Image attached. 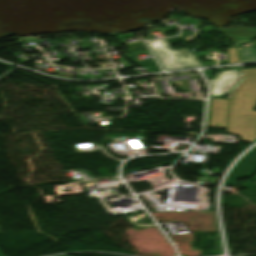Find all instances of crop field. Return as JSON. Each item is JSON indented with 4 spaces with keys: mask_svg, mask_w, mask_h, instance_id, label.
Returning <instances> with one entry per match:
<instances>
[{
    "mask_svg": "<svg viewBox=\"0 0 256 256\" xmlns=\"http://www.w3.org/2000/svg\"><path fill=\"white\" fill-rule=\"evenodd\" d=\"M227 131L243 141L256 140V68L243 69V77L231 95Z\"/></svg>",
    "mask_w": 256,
    "mask_h": 256,
    "instance_id": "8a807250",
    "label": "crop field"
},
{
    "mask_svg": "<svg viewBox=\"0 0 256 256\" xmlns=\"http://www.w3.org/2000/svg\"><path fill=\"white\" fill-rule=\"evenodd\" d=\"M158 61L165 70L202 66L190 48L171 50L166 40L148 42Z\"/></svg>",
    "mask_w": 256,
    "mask_h": 256,
    "instance_id": "ac0d7876",
    "label": "crop field"
},
{
    "mask_svg": "<svg viewBox=\"0 0 256 256\" xmlns=\"http://www.w3.org/2000/svg\"><path fill=\"white\" fill-rule=\"evenodd\" d=\"M230 100L211 98L207 114V126L225 129Z\"/></svg>",
    "mask_w": 256,
    "mask_h": 256,
    "instance_id": "34b2d1b8",
    "label": "crop field"
},
{
    "mask_svg": "<svg viewBox=\"0 0 256 256\" xmlns=\"http://www.w3.org/2000/svg\"><path fill=\"white\" fill-rule=\"evenodd\" d=\"M256 171V148L247 154L231 171L224 186H234L237 179H243Z\"/></svg>",
    "mask_w": 256,
    "mask_h": 256,
    "instance_id": "412701ff",
    "label": "crop field"
},
{
    "mask_svg": "<svg viewBox=\"0 0 256 256\" xmlns=\"http://www.w3.org/2000/svg\"><path fill=\"white\" fill-rule=\"evenodd\" d=\"M216 80H208L212 92L211 96H218L230 93L239 78V70L222 71L214 73Z\"/></svg>",
    "mask_w": 256,
    "mask_h": 256,
    "instance_id": "f4fd0767",
    "label": "crop field"
},
{
    "mask_svg": "<svg viewBox=\"0 0 256 256\" xmlns=\"http://www.w3.org/2000/svg\"><path fill=\"white\" fill-rule=\"evenodd\" d=\"M227 31L237 40H245L256 36V29L254 28L235 27L229 28Z\"/></svg>",
    "mask_w": 256,
    "mask_h": 256,
    "instance_id": "dd49c442",
    "label": "crop field"
},
{
    "mask_svg": "<svg viewBox=\"0 0 256 256\" xmlns=\"http://www.w3.org/2000/svg\"><path fill=\"white\" fill-rule=\"evenodd\" d=\"M128 48H129V49L126 50V51H127L128 55H129L130 59H131L134 63H136V64L139 65V66L150 65V66H152L154 69L159 70V68H158V66L156 65V63L154 62V60L137 62L136 59L134 58V56L132 55L131 52L140 51V50H146L147 47L144 45V43L135 44V45H129Z\"/></svg>",
    "mask_w": 256,
    "mask_h": 256,
    "instance_id": "e52e79f7",
    "label": "crop field"
},
{
    "mask_svg": "<svg viewBox=\"0 0 256 256\" xmlns=\"http://www.w3.org/2000/svg\"><path fill=\"white\" fill-rule=\"evenodd\" d=\"M243 56V62L256 61L255 48H244L241 50Z\"/></svg>",
    "mask_w": 256,
    "mask_h": 256,
    "instance_id": "d8731c3e",
    "label": "crop field"
},
{
    "mask_svg": "<svg viewBox=\"0 0 256 256\" xmlns=\"http://www.w3.org/2000/svg\"><path fill=\"white\" fill-rule=\"evenodd\" d=\"M239 48L243 46V43H237ZM229 63L239 62L237 48H228Z\"/></svg>",
    "mask_w": 256,
    "mask_h": 256,
    "instance_id": "5a996713",
    "label": "crop field"
},
{
    "mask_svg": "<svg viewBox=\"0 0 256 256\" xmlns=\"http://www.w3.org/2000/svg\"><path fill=\"white\" fill-rule=\"evenodd\" d=\"M213 29H217V28H214V27H212V26H207V27L201 28V31H202V32H209V31H211V30H213Z\"/></svg>",
    "mask_w": 256,
    "mask_h": 256,
    "instance_id": "3316defc",
    "label": "crop field"
},
{
    "mask_svg": "<svg viewBox=\"0 0 256 256\" xmlns=\"http://www.w3.org/2000/svg\"><path fill=\"white\" fill-rule=\"evenodd\" d=\"M1 253H2V252H1ZM1 253H0V256H4V255H2Z\"/></svg>",
    "mask_w": 256,
    "mask_h": 256,
    "instance_id": "28ad6ade",
    "label": "crop field"
},
{
    "mask_svg": "<svg viewBox=\"0 0 256 256\" xmlns=\"http://www.w3.org/2000/svg\"><path fill=\"white\" fill-rule=\"evenodd\" d=\"M61 256H66V255H61Z\"/></svg>",
    "mask_w": 256,
    "mask_h": 256,
    "instance_id": "d1516ede",
    "label": "crop field"
}]
</instances>
